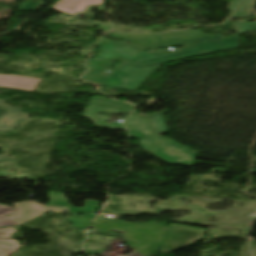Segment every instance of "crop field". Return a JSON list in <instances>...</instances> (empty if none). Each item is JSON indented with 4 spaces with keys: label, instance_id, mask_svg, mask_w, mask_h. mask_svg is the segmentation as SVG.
<instances>
[{
    "label": "crop field",
    "instance_id": "obj_7",
    "mask_svg": "<svg viewBox=\"0 0 256 256\" xmlns=\"http://www.w3.org/2000/svg\"><path fill=\"white\" fill-rule=\"evenodd\" d=\"M41 2L42 0H26L18 11L34 10Z\"/></svg>",
    "mask_w": 256,
    "mask_h": 256
},
{
    "label": "crop field",
    "instance_id": "obj_6",
    "mask_svg": "<svg viewBox=\"0 0 256 256\" xmlns=\"http://www.w3.org/2000/svg\"><path fill=\"white\" fill-rule=\"evenodd\" d=\"M21 245L15 240L0 239V256H8L16 251Z\"/></svg>",
    "mask_w": 256,
    "mask_h": 256
},
{
    "label": "crop field",
    "instance_id": "obj_5",
    "mask_svg": "<svg viewBox=\"0 0 256 256\" xmlns=\"http://www.w3.org/2000/svg\"><path fill=\"white\" fill-rule=\"evenodd\" d=\"M11 214L10 217H5ZM14 226L13 208L0 204V228Z\"/></svg>",
    "mask_w": 256,
    "mask_h": 256
},
{
    "label": "crop field",
    "instance_id": "obj_1",
    "mask_svg": "<svg viewBox=\"0 0 256 256\" xmlns=\"http://www.w3.org/2000/svg\"><path fill=\"white\" fill-rule=\"evenodd\" d=\"M44 211H70V210L68 207L44 206L43 204H38L37 201L15 204V208H14L15 227L30 219H33L43 214ZM15 227L0 229V238L11 239V233L17 232Z\"/></svg>",
    "mask_w": 256,
    "mask_h": 256
},
{
    "label": "crop field",
    "instance_id": "obj_4",
    "mask_svg": "<svg viewBox=\"0 0 256 256\" xmlns=\"http://www.w3.org/2000/svg\"><path fill=\"white\" fill-rule=\"evenodd\" d=\"M38 78H28L17 75H0L1 87H12L21 90L33 91L39 83Z\"/></svg>",
    "mask_w": 256,
    "mask_h": 256
},
{
    "label": "crop field",
    "instance_id": "obj_2",
    "mask_svg": "<svg viewBox=\"0 0 256 256\" xmlns=\"http://www.w3.org/2000/svg\"><path fill=\"white\" fill-rule=\"evenodd\" d=\"M7 104L0 101V107L8 110L6 113L0 116V131H11L20 123L29 119L27 115L20 111L18 108L11 107ZM1 161H13V159L12 157L0 155V162Z\"/></svg>",
    "mask_w": 256,
    "mask_h": 256
},
{
    "label": "crop field",
    "instance_id": "obj_3",
    "mask_svg": "<svg viewBox=\"0 0 256 256\" xmlns=\"http://www.w3.org/2000/svg\"><path fill=\"white\" fill-rule=\"evenodd\" d=\"M104 0H59L52 8L75 16L77 12H83L88 6L100 5Z\"/></svg>",
    "mask_w": 256,
    "mask_h": 256
},
{
    "label": "crop field",
    "instance_id": "obj_8",
    "mask_svg": "<svg viewBox=\"0 0 256 256\" xmlns=\"http://www.w3.org/2000/svg\"><path fill=\"white\" fill-rule=\"evenodd\" d=\"M4 111H5V110H3V109L0 108V114H2Z\"/></svg>",
    "mask_w": 256,
    "mask_h": 256
}]
</instances>
